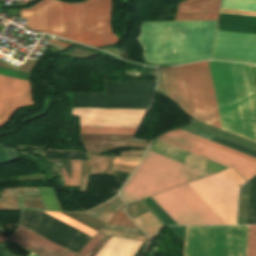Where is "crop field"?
Masks as SVG:
<instances>
[{"mask_svg":"<svg viewBox=\"0 0 256 256\" xmlns=\"http://www.w3.org/2000/svg\"><path fill=\"white\" fill-rule=\"evenodd\" d=\"M223 130L256 142V105L247 65L208 61ZM207 61L161 68L167 97L221 129Z\"/></svg>","mask_w":256,"mask_h":256,"instance_id":"8a807250","label":"crop field"},{"mask_svg":"<svg viewBox=\"0 0 256 256\" xmlns=\"http://www.w3.org/2000/svg\"><path fill=\"white\" fill-rule=\"evenodd\" d=\"M111 0H88L64 4L43 0L30 9H22L26 27L79 43L99 47L119 41L110 26Z\"/></svg>","mask_w":256,"mask_h":256,"instance_id":"ac0d7876","label":"crop field"},{"mask_svg":"<svg viewBox=\"0 0 256 256\" xmlns=\"http://www.w3.org/2000/svg\"><path fill=\"white\" fill-rule=\"evenodd\" d=\"M217 21L143 22L144 62L184 64L210 59Z\"/></svg>","mask_w":256,"mask_h":256,"instance_id":"34b2d1b8","label":"crop field"},{"mask_svg":"<svg viewBox=\"0 0 256 256\" xmlns=\"http://www.w3.org/2000/svg\"><path fill=\"white\" fill-rule=\"evenodd\" d=\"M207 175L210 174L147 150L119 195L128 204Z\"/></svg>","mask_w":256,"mask_h":256,"instance_id":"412701ff","label":"crop field"},{"mask_svg":"<svg viewBox=\"0 0 256 256\" xmlns=\"http://www.w3.org/2000/svg\"><path fill=\"white\" fill-rule=\"evenodd\" d=\"M217 30L256 34V17L220 13ZM217 31L212 59L256 63V35Z\"/></svg>","mask_w":256,"mask_h":256,"instance_id":"f4fd0767","label":"crop field"},{"mask_svg":"<svg viewBox=\"0 0 256 256\" xmlns=\"http://www.w3.org/2000/svg\"><path fill=\"white\" fill-rule=\"evenodd\" d=\"M248 226L187 227L185 256H246Z\"/></svg>","mask_w":256,"mask_h":256,"instance_id":"dd49c442","label":"crop field"},{"mask_svg":"<svg viewBox=\"0 0 256 256\" xmlns=\"http://www.w3.org/2000/svg\"><path fill=\"white\" fill-rule=\"evenodd\" d=\"M155 85L105 81L106 94L74 93L73 108L147 109Z\"/></svg>","mask_w":256,"mask_h":256,"instance_id":"e52e79f7","label":"crop field"},{"mask_svg":"<svg viewBox=\"0 0 256 256\" xmlns=\"http://www.w3.org/2000/svg\"><path fill=\"white\" fill-rule=\"evenodd\" d=\"M244 182L232 168H229L188 185L226 224H235L238 185Z\"/></svg>","mask_w":256,"mask_h":256,"instance_id":"d8731c3e","label":"crop field"},{"mask_svg":"<svg viewBox=\"0 0 256 256\" xmlns=\"http://www.w3.org/2000/svg\"><path fill=\"white\" fill-rule=\"evenodd\" d=\"M152 198L178 225L225 224L187 184Z\"/></svg>","mask_w":256,"mask_h":256,"instance_id":"5a996713","label":"crop field"},{"mask_svg":"<svg viewBox=\"0 0 256 256\" xmlns=\"http://www.w3.org/2000/svg\"><path fill=\"white\" fill-rule=\"evenodd\" d=\"M21 227L75 254L92 238L42 212L23 211Z\"/></svg>","mask_w":256,"mask_h":256,"instance_id":"3316defc","label":"crop field"},{"mask_svg":"<svg viewBox=\"0 0 256 256\" xmlns=\"http://www.w3.org/2000/svg\"><path fill=\"white\" fill-rule=\"evenodd\" d=\"M157 140L212 160L219 164L225 165L227 167L232 166L247 180L256 174V163L185 137L183 135L177 134L175 132L168 133L158 138Z\"/></svg>","mask_w":256,"mask_h":256,"instance_id":"28ad6ade","label":"crop field"},{"mask_svg":"<svg viewBox=\"0 0 256 256\" xmlns=\"http://www.w3.org/2000/svg\"><path fill=\"white\" fill-rule=\"evenodd\" d=\"M147 110L73 109L80 126L137 127Z\"/></svg>","mask_w":256,"mask_h":256,"instance_id":"d1516ede","label":"crop field"},{"mask_svg":"<svg viewBox=\"0 0 256 256\" xmlns=\"http://www.w3.org/2000/svg\"><path fill=\"white\" fill-rule=\"evenodd\" d=\"M29 82L0 75V126L15 110L32 105Z\"/></svg>","mask_w":256,"mask_h":256,"instance_id":"22f410ed","label":"crop field"},{"mask_svg":"<svg viewBox=\"0 0 256 256\" xmlns=\"http://www.w3.org/2000/svg\"><path fill=\"white\" fill-rule=\"evenodd\" d=\"M159 141L157 140L152 141L150 146L148 147V150L156 152L163 156L169 157L176 161L182 162L189 166L195 167L202 171L208 172L210 174H213L215 172H218L220 170L227 168L225 166L219 165L217 163L206 160L199 156H196L191 153L180 150L178 148L172 147L173 145L170 146Z\"/></svg>","mask_w":256,"mask_h":256,"instance_id":"cbeb9de0","label":"crop field"},{"mask_svg":"<svg viewBox=\"0 0 256 256\" xmlns=\"http://www.w3.org/2000/svg\"><path fill=\"white\" fill-rule=\"evenodd\" d=\"M9 241L39 256H74L75 254L23 229L19 228Z\"/></svg>","mask_w":256,"mask_h":256,"instance_id":"5142ce71","label":"crop field"},{"mask_svg":"<svg viewBox=\"0 0 256 256\" xmlns=\"http://www.w3.org/2000/svg\"><path fill=\"white\" fill-rule=\"evenodd\" d=\"M221 0H188L180 2L175 20H217Z\"/></svg>","mask_w":256,"mask_h":256,"instance_id":"d9b57169","label":"crop field"},{"mask_svg":"<svg viewBox=\"0 0 256 256\" xmlns=\"http://www.w3.org/2000/svg\"><path fill=\"white\" fill-rule=\"evenodd\" d=\"M140 242L112 238L96 256H133Z\"/></svg>","mask_w":256,"mask_h":256,"instance_id":"733c2abd","label":"crop field"},{"mask_svg":"<svg viewBox=\"0 0 256 256\" xmlns=\"http://www.w3.org/2000/svg\"><path fill=\"white\" fill-rule=\"evenodd\" d=\"M189 126L197 128L199 130H202L204 132L210 133L212 135L218 136L220 138H223L225 140L231 141L233 143H236L238 145L244 146L246 148H249L251 150L256 151V144L246 141L244 139H241L239 137H236L234 135L228 134L226 132H223L221 130H218L216 128L210 127L208 125H205L203 123H194L190 124Z\"/></svg>","mask_w":256,"mask_h":256,"instance_id":"4a817a6b","label":"crop field"},{"mask_svg":"<svg viewBox=\"0 0 256 256\" xmlns=\"http://www.w3.org/2000/svg\"><path fill=\"white\" fill-rule=\"evenodd\" d=\"M136 128L80 127L81 134L133 135Z\"/></svg>","mask_w":256,"mask_h":256,"instance_id":"bc2a9ffb","label":"crop field"},{"mask_svg":"<svg viewBox=\"0 0 256 256\" xmlns=\"http://www.w3.org/2000/svg\"><path fill=\"white\" fill-rule=\"evenodd\" d=\"M45 158L90 161L89 154L85 152L63 151V150H53V149L47 150L45 154Z\"/></svg>","mask_w":256,"mask_h":256,"instance_id":"214f88e0","label":"crop field"},{"mask_svg":"<svg viewBox=\"0 0 256 256\" xmlns=\"http://www.w3.org/2000/svg\"><path fill=\"white\" fill-rule=\"evenodd\" d=\"M151 238L162 226L149 212L133 219Z\"/></svg>","mask_w":256,"mask_h":256,"instance_id":"92a150f3","label":"crop field"},{"mask_svg":"<svg viewBox=\"0 0 256 256\" xmlns=\"http://www.w3.org/2000/svg\"><path fill=\"white\" fill-rule=\"evenodd\" d=\"M124 204L122 203L121 199L119 196H116L112 200L86 212L85 214L97 219L109 212H112L120 207H122Z\"/></svg>","mask_w":256,"mask_h":256,"instance_id":"dafd665d","label":"crop field"},{"mask_svg":"<svg viewBox=\"0 0 256 256\" xmlns=\"http://www.w3.org/2000/svg\"><path fill=\"white\" fill-rule=\"evenodd\" d=\"M250 181L240 188L237 224H246Z\"/></svg>","mask_w":256,"mask_h":256,"instance_id":"00972430","label":"crop field"},{"mask_svg":"<svg viewBox=\"0 0 256 256\" xmlns=\"http://www.w3.org/2000/svg\"><path fill=\"white\" fill-rule=\"evenodd\" d=\"M36 63H37V61L27 59L25 65L21 66L20 70L19 69L18 70L22 71V72L29 73V76H30L31 69L36 65ZM0 66L9 68V69H13L1 62H0ZM13 70H15V69H13ZM26 73H21V72H17V71L0 68V74L12 76V77H16V78H21V79H25V80H27V76H28V74H26ZM29 76H28V80H29Z\"/></svg>","mask_w":256,"mask_h":256,"instance_id":"a9b5d70f","label":"crop field"},{"mask_svg":"<svg viewBox=\"0 0 256 256\" xmlns=\"http://www.w3.org/2000/svg\"><path fill=\"white\" fill-rule=\"evenodd\" d=\"M47 210L62 211L57 201L54 188H38Z\"/></svg>","mask_w":256,"mask_h":256,"instance_id":"4177f3b9","label":"crop field"},{"mask_svg":"<svg viewBox=\"0 0 256 256\" xmlns=\"http://www.w3.org/2000/svg\"><path fill=\"white\" fill-rule=\"evenodd\" d=\"M221 8L256 11V0H222Z\"/></svg>","mask_w":256,"mask_h":256,"instance_id":"730fd06b","label":"crop field"},{"mask_svg":"<svg viewBox=\"0 0 256 256\" xmlns=\"http://www.w3.org/2000/svg\"><path fill=\"white\" fill-rule=\"evenodd\" d=\"M247 224H256V176L251 179Z\"/></svg>","mask_w":256,"mask_h":256,"instance_id":"eef30255","label":"crop field"},{"mask_svg":"<svg viewBox=\"0 0 256 256\" xmlns=\"http://www.w3.org/2000/svg\"><path fill=\"white\" fill-rule=\"evenodd\" d=\"M44 213L62 221V222L66 223V224H68V225H70V226H72V227H74V228L92 236V237L96 233V231H94V230H92V229H90V228H88V227H86V226H84V225H82V224H80V223L62 215V214H60V213H50V212H44Z\"/></svg>","mask_w":256,"mask_h":256,"instance_id":"ae1a2a85","label":"crop field"},{"mask_svg":"<svg viewBox=\"0 0 256 256\" xmlns=\"http://www.w3.org/2000/svg\"><path fill=\"white\" fill-rule=\"evenodd\" d=\"M175 132L180 133V134H183V135H185V136L191 137V138H193V139L199 140V141L204 142V143H206V144L212 145V146H214V147L220 148V149H222V150L228 151V152H230V153L236 154V155H238V156H241V157H243V158H246V159H249V160H251V161L256 162V159H254V158H252V157H249V156H247V155H244V154L239 153V152H237V151H234V150H232V149L226 148V147H224V146H221V145H219V144H216V143H214V142H211V141L206 140V139H204V138H201V137H199V136L193 135V134L188 133V132H186V131H183V130H181V129H179V130H177V131H175Z\"/></svg>","mask_w":256,"mask_h":256,"instance_id":"d3111659","label":"crop field"},{"mask_svg":"<svg viewBox=\"0 0 256 256\" xmlns=\"http://www.w3.org/2000/svg\"><path fill=\"white\" fill-rule=\"evenodd\" d=\"M71 162H72V177H71L70 183H69V180L66 176L64 169L62 168V173L64 176L65 184L66 185H79L80 173H81V162H76V161H71Z\"/></svg>","mask_w":256,"mask_h":256,"instance_id":"750c4746","label":"crop field"},{"mask_svg":"<svg viewBox=\"0 0 256 256\" xmlns=\"http://www.w3.org/2000/svg\"><path fill=\"white\" fill-rule=\"evenodd\" d=\"M108 224L139 229L122 211H118Z\"/></svg>","mask_w":256,"mask_h":256,"instance_id":"bd1437ed","label":"crop field"},{"mask_svg":"<svg viewBox=\"0 0 256 256\" xmlns=\"http://www.w3.org/2000/svg\"><path fill=\"white\" fill-rule=\"evenodd\" d=\"M247 256H256V226H249Z\"/></svg>","mask_w":256,"mask_h":256,"instance_id":"1d83c4d3","label":"crop field"},{"mask_svg":"<svg viewBox=\"0 0 256 256\" xmlns=\"http://www.w3.org/2000/svg\"><path fill=\"white\" fill-rule=\"evenodd\" d=\"M102 237L96 235L76 256H85Z\"/></svg>","mask_w":256,"mask_h":256,"instance_id":"120bbe31","label":"crop field"},{"mask_svg":"<svg viewBox=\"0 0 256 256\" xmlns=\"http://www.w3.org/2000/svg\"><path fill=\"white\" fill-rule=\"evenodd\" d=\"M141 159H127L115 157L113 164L137 166Z\"/></svg>","mask_w":256,"mask_h":256,"instance_id":"d32e631a","label":"crop field"},{"mask_svg":"<svg viewBox=\"0 0 256 256\" xmlns=\"http://www.w3.org/2000/svg\"><path fill=\"white\" fill-rule=\"evenodd\" d=\"M248 67H249V72H250V76H251L255 100H256V66L248 65Z\"/></svg>","mask_w":256,"mask_h":256,"instance_id":"5866460e","label":"crop field"},{"mask_svg":"<svg viewBox=\"0 0 256 256\" xmlns=\"http://www.w3.org/2000/svg\"><path fill=\"white\" fill-rule=\"evenodd\" d=\"M169 228L173 230L184 241L185 227H169Z\"/></svg>","mask_w":256,"mask_h":256,"instance_id":"028f5c9d","label":"crop field"},{"mask_svg":"<svg viewBox=\"0 0 256 256\" xmlns=\"http://www.w3.org/2000/svg\"><path fill=\"white\" fill-rule=\"evenodd\" d=\"M220 12L234 13V14H244V15H254V16H256L255 12H245V11H235V10H225V9H221Z\"/></svg>","mask_w":256,"mask_h":256,"instance_id":"e1f06a70","label":"crop field"},{"mask_svg":"<svg viewBox=\"0 0 256 256\" xmlns=\"http://www.w3.org/2000/svg\"><path fill=\"white\" fill-rule=\"evenodd\" d=\"M0 256H14L6 248L0 245Z\"/></svg>","mask_w":256,"mask_h":256,"instance_id":"0bd39190","label":"crop field"},{"mask_svg":"<svg viewBox=\"0 0 256 256\" xmlns=\"http://www.w3.org/2000/svg\"><path fill=\"white\" fill-rule=\"evenodd\" d=\"M147 245H148V243H143V245L141 246V248L139 249V251L136 253L135 256H141V254L143 253V251L145 250Z\"/></svg>","mask_w":256,"mask_h":256,"instance_id":"b80d0937","label":"crop field"},{"mask_svg":"<svg viewBox=\"0 0 256 256\" xmlns=\"http://www.w3.org/2000/svg\"><path fill=\"white\" fill-rule=\"evenodd\" d=\"M7 13H8V14H11V15H16V16H19V17H20V10H8Z\"/></svg>","mask_w":256,"mask_h":256,"instance_id":"c035e120","label":"crop field"},{"mask_svg":"<svg viewBox=\"0 0 256 256\" xmlns=\"http://www.w3.org/2000/svg\"><path fill=\"white\" fill-rule=\"evenodd\" d=\"M50 43H54V44H58V45L66 46V47L69 46L68 44L60 43V42H57V41H54V40H51V39H50Z\"/></svg>","mask_w":256,"mask_h":256,"instance_id":"c21b1889","label":"crop field"},{"mask_svg":"<svg viewBox=\"0 0 256 256\" xmlns=\"http://www.w3.org/2000/svg\"><path fill=\"white\" fill-rule=\"evenodd\" d=\"M6 240L5 238H3L2 236H0V242Z\"/></svg>","mask_w":256,"mask_h":256,"instance_id":"03da06ac","label":"crop field"},{"mask_svg":"<svg viewBox=\"0 0 256 256\" xmlns=\"http://www.w3.org/2000/svg\"><path fill=\"white\" fill-rule=\"evenodd\" d=\"M30 256H36V255H34V254H32V253H31V255H30Z\"/></svg>","mask_w":256,"mask_h":256,"instance_id":"b54c1fbb","label":"crop field"}]
</instances>
